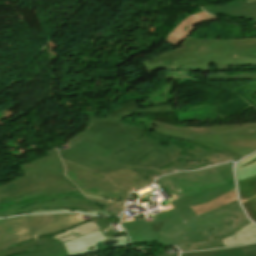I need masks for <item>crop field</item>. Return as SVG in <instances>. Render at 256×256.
<instances>
[{
	"label": "crop field",
	"mask_w": 256,
	"mask_h": 256,
	"mask_svg": "<svg viewBox=\"0 0 256 256\" xmlns=\"http://www.w3.org/2000/svg\"><path fill=\"white\" fill-rule=\"evenodd\" d=\"M226 184L172 201L175 209L146 220L123 223L132 243L156 241L161 246L177 245L181 251L222 248L220 239L251 222L238 201L199 217L189 206L208 202L235 187L230 163L215 166Z\"/></svg>",
	"instance_id": "8a807250"
},
{
	"label": "crop field",
	"mask_w": 256,
	"mask_h": 256,
	"mask_svg": "<svg viewBox=\"0 0 256 256\" xmlns=\"http://www.w3.org/2000/svg\"><path fill=\"white\" fill-rule=\"evenodd\" d=\"M248 64H256V38L206 40L189 36L179 48L142 62L149 72L162 68L208 72L209 81L256 79V73L227 76L229 66Z\"/></svg>",
	"instance_id": "ac0d7876"
},
{
	"label": "crop field",
	"mask_w": 256,
	"mask_h": 256,
	"mask_svg": "<svg viewBox=\"0 0 256 256\" xmlns=\"http://www.w3.org/2000/svg\"><path fill=\"white\" fill-rule=\"evenodd\" d=\"M164 141L157 135L144 134L114 157L151 182L166 173L198 169L242 157L215 143L192 142L180 149Z\"/></svg>",
	"instance_id": "34b2d1b8"
},
{
	"label": "crop field",
	"mask_w": 256,
	"mask_h": 256,
	"mask_svg": "<svg viewBox=\"0 0 256 256\" xmlns=\"http://www.w3.org/2000/svg\"><path fill=\"white\" fill-rule=\"evenodd\" d=\"M162 113L174 112L171 105L156 106L141 109L140 105L131 101L104 118L89 116L86 128L79 132L78 135L92 140L116 153L133 144L147 130L130 126L119 122L126 115L133 113Z\"/></svg>",
	"instance_id": "412701ff"
},
{
	"label": "crop field",
	"mask_w": 256,
	"mask_h": 256,
	"mask_svg": "<svg viewBox=\"0 0 256 256\" xmlns=\"http://www.w3.org/2000/svg\"><path fill=\"white\" fill-rule=\"evenodd\" d=\"M147 129L193 141L215 142L243 156L256 150V123L217 127H176L151 121Z\"/></svg>",
	"instance_id": "f4fd0767"
},
{
	"label": "crop field",
	"mask_w": 256,
	"mask_h": 256,
	"mask_svg": "<svg viewBox=\"0 0 256 256\" xmlns=\"http://www.w3.org/2000/svg\"><path fill=\"white\" fill-rule=\"evenodd\" d=\"M78 214L20 216L0 220V251L37 237L55 234L90 219ZM91 221V220H90Z\"/></svg>",
	"instance_id": "dd49c442"
},
{
	"label": "crop field",
	"mask_w": 256,
	"mask_h": 256,
	"mask_svg": "<svg viewBox=\"0 0 256 256\" xmlns=\"http://www.w3.org/2000/svg\"><path fill=\"white\" fill-rule=\"evenodd\" d=\"M57 149L49 150V157L22 166L25 175L12 180L14 183L31 177L46 196L18 202L20 208L30 204L52 201L54 198H85L82 193L63 176L64 168Z\"/></svg>",
	"instance_id": "e52e79f7"
},
{
	"label": "crop field",
	"mask_w": 256,
	"mask_h": 256,
	"mask_svg": "<svg viewBox=\"0 0 256 256\" xmlns=\"http://www.w3.org/2000/svg\"><path fill=\"white\" fill-rule=\"evenodd\" d=\"M62 161L66 167L65 176L81 191L110 195H127L132 190L151 183L129 168L102 174L71 163L65 159H62Z\"/></svg>",
	"instance_id": "d8731c3e"
},
{
	"label": "crop field",
	"mask_w": 256,
	"mask_h": 256,
	"mask_svg": "<svg viewBox=\"0 0 256 256\" xmlns=\"http://www.w3.org/2000/svg\"><path fill=\"white\" fill-rule=\"evenodd\" d=\"M64 145L68 148H60V156L86 168L107 173L129 167L113 157L116 153L78 135Z\"/></svg>",
	"instance_id": "5a996713"
},
{
	"label": "crop field",
	"mask_w": 256,
	"mask_h": 256,
	"mask_svg": "<svg viewBox=\"0 0 256 256\" xmlns=\"http://www.w3.org/2000/svg\"><path fill=\"white\" fill-rule=\"evenodd\" d=\"M175 200L183 196L224 184L214 167L186 173H176L157 180Z\"/></svg>",
	"instance_id": "3316defc"
},
{
	"label": "crop field",
	"mask_w": 256,
	"mask_h": 256,
	"mask_svg": "<svg viewBox=\"0 0 256 256\" xmlns=\"http://www.w3.org/2000/svg\"><path fill=\"white\" fill-rule=\"evenodd\" d=\"M0 256H67L62 243L41 237L0 252Z\"/></svg>",
	"instance_id": "28ad6ade"
},
{
	"label": "crop field",
	"mask_w": 256,
	"mask_h": 256,
	"mask_svg": "<svg viewBox=\"0 0 256 256\" xmlns=\"http://www.w3.org/2000/svg\"><path fill=\"white\" fill-rule=\"evenodd\" d=\"M42 208H74L87 211H98L103 208L91 203L89 200L83 199H55L53 202H46L40 204L30 205L23 209H19L16 203H8L5 205L0 204V217L14 214H27L32 210Z\"/></svg>",
	"instance_id": "d1516ede"
},
{
	"label": "crop field",
	"mask_w": 256,
	"mask_h": 256,
	"mask_svg": "<svg viewBox=\"0 0 256 256\" xmlns=\"http://www.w3.org/2000/svg\"><path fill=\"white\" fill-rule=\"evenodd\" d=\"M44 193L35 185L31 178L14 184L8 181L0 185V203L18 202L43 196Z\"/></svg>",
	"instance_id": "22f410ed"
},
{
	"label": "crop field",
	"mask_w": 256,
	"mask_h": 256,
	"mask_svg": "<svg viewBox=\"0 0 256 256\" xmlns=\"http://www.w3.org/2000/svg\"><path fill=\"white\" fill-rule=\"evenodd\" d=\"M240 200L256 193V154L239 162L235 168Z\"/></svg>",
	"instance_id": "cbeb9de0"
},
{
	"label": "crop field",
	"mask_w": 256,
	"mask_h": 256,
	"mask_svg": "<svg viewBox=\"0 0 256 256\" xmlns=\"http://www.w3.org/2000/svg\"><path fill=\"white\" fill-rule=\"evenodd\" d=\"M203 8L211 14H222L232 18H246L256 23V3L246 5L244 0H239L233 1L230 4L206 6Z\"/></svg>",
	"instance_id": "5142ce71"
},
{
	"label": "crop field",
	"mask_w": 256,
	"mask_h": 256,
	"mask_svg": "<svg viewBox=\"0 0 256 256\" xmlns=\"http://www.w3.org/2000/svg\"><path fill=\"white\" fill-rule=\"evenodd\" d=\"M217 19L214 16L208 15L205 12H199L197 14L191 15L183 20L178 26H176L169 35L164 39L175 46H179L182 41L191 34L194 30H196L193 26L206 21Z\"/></svg>",
	"instance_id": "d9b57169"
},
{
	"label": "crop field",
	"mask_w": 256,
	"mask_h": 256,
	"mask_svg": "<svg viewBox=\"0 0 256 256\" xmlns=\"http://www.w3.org/2000/svg\"><path fill=\"white\" fill-rule=\"evenodd\" d=\"M181 256H256V244L222 250L181 253Z\"/></svg>",
	"instance_id": "733c2abd"
},
{
	"label": "crop field",
	"mask_w": 256,
	"mask_h": 256,
	"mask_svg": "<svg viewBox=\"0 0 256 256\" xmlns=\"http://www.w3.org/2000/svg\"><path fill=\"white\" fill-rule=\"evenodd\" d=\"M222 242L225 247L256 242V226L250 223L233 236L222 239Z\"/></svg>",
	"instance_id": "4a817a6b"
},
{
	"label": "crop field",
	"mask_w": 256,
	"mask_h": 256,
	"mask_svg": "<svg viewBox=\"0 0 256 256\" xmlns=\"http://www.w3.org/2000/svg\"><path fill=\"white\" fill-rule=\"evenodd\" d=\"M236 200L237 199H236V193H235V188H234L232 191L216 198L215 200H213L209 203H206V204H203V205L192 206L191 208L196 213V215L198 216V215H201L205 212H208L210 210L218 208L222 205L232 203Z\"/></svg>",
	"instance_id": "bc2a9ffb"
},
{
	"label": "crop field",
	"mask_w": 256,
	"mask_h": 256,
	"mask_svg": "<svg viewBox=\"0 0 256 256\" xmlns=\"http://www.w3.org/2000/svg\"><path fill=\"white\" fill-rule=\"evenodd\" d=\"M249 217L256 222V199L243 203Z\"/></svg>",
	"instance_id": "214f88e0"
},
{
	"label": "crop field",
	"mask_w": 256,
	"mask_h": 256,
	"mask_svg": "<svg viewBox=\"0 0 256 256\" xmlns=\"http://www.w3.org/2000/svg\"><path fill=\"white\" fill-rule=\"evenodd\" d=\"M71 210H74V209H43V210L33 211L31 213L55 212V211H71ZM74 211L85 212V213L96 214V215H106L104 210L98 211V212H86V211H81V210H74Z\"/></svg>",
	"instance_id": "92a150f3"
},
{
	"label": "crop field",
	"mask_w": 256,
	"mask_h": 256,
	"mask_svg": "<svg viewBox=\"0 0 256 256\" xmlns=\"http://www.w3.org/2000/svg\"><path fill=\"white\" fill-rule=\"evenodd\" d=\"M84 195H88V196H94V197H100V198H106V199H110V200H117L118 196H109V195H100V194H95V193H87V192H83Z\"/></svg>",
	"instance_id": "dafd665d"
},
{
	"label": "crop field",
	"mask_w": 256,
	"mask_h": 256,
	"mask_svg": "<svg viewBox=\"0 0 256 256\" xmlns=\"http://www.w3.org/2000/svg\"><path fill=\"white\" fill-rule=\"evenodd\" d=\"M90 198V197H88ZM91 200H93L94 202H96L98 205L104 207V208H108L109 204L111 201L108 200H102V199H96V198H90Z\"/></svg>",
	"instance_id": "00972430"
},
{
	"label": "crop field",
	"mask_w": 256,
	"mask_h": 256,
	"mask_svg": "<svg viewBox=\"0 0 256 256\" xmlns=\"http://www.w3.org/2000/svg\"><path fill=\"white\" fill-rule=\"evenodd\" d=\"M124 207H122V204L120 203H116V202H112L109 210H114V211H123Z\"/></svg>",
	"instance_id": "a9b5d70f"
},
{
	"label": "crop field",
	"mask_w": 256,
	"mask_h": 256,
	"mask_svg": "<svg viewBox=\"0 0 256 256\" xmlns=\"http://www.w3.org/2000/svg\"><path fill=\"white\" fill-rule=\"evenodd\" d=\"M157 256H178V253H173V254H157Z\"/></svg>",
	"instance_id": "4177f3b9"
},
{
	"label": "crop field",
	"mask_w": 256,
	"mask_h": 256,
	"mask_svg": "<svg viewBox=\"0 0 256 256\" xmlns=\"http://www.w3.org/2000/svg\"><path fill=\"white\" fill-rule=\"evenodd\" d=\"M247 4H250V3H255L256 0H245Z\"/></svg>",
	"instance_id": "730fd06b"
},
{
	"label": "crop field",
	"mask_w": 256,
	"mask_h": 256,
	"mask_svg": "<svg viewBox=\"0 0 256 256\" xmlns=\"http://www.w3.org/2000/svg\"><path fill=\"white\" fill-rule=\"evenodd\" d=\"M254 198H256V194H255L254 196H252L251 198H249V199H246V200H242V201H241V203H242V202H245V201H247V200H251V199H254Z\"/></svg>",
	"instance_id": "eef30255"
},
{
	"label": "crop field",
	"mask_w": 256,
	"mask_h": 256,
	"mask_svg": "<svg viewBox=\"0 0 256 256\" xmlns=\"http://www.w3.org/2000/svg\"><path fill=\"white\" fill-rule=\"evenodd\" d=\"M106 213H107V215H119L120 213H111V212H107L106 211Z\"/></svg>",
	"instance_id": "ae1a2a85"
},
{
	"label": "crop field",
	"mask_w": 256,
	"mask_h": 256,
	"mask_svg": "<svg viewBox=\"0 0 256 256\" xmlns=\"http://www.w3.org/2000/svg\"><path fill=\"white\" fill-rule=\"evenodd\" d=\"M125 197H126V196H122V197H121V201H120V202H124Z\"/></svg>",
	"instance_id": "d3111659"
},
{
	"label": "crop field",
	"mask_w": 256,
	"mask_h": 256,
	"mask_svg": "<svg viewBox=\"0 0 256 256\" xmlns=\"http://www.w3.org/2000/svg\"><path fill=\"white\" fill-rule=\"evenodd\" d=\"M254 26H256V24Z\"/></svg>",
	"instance_id": "750c4746"
}]
</instances>
